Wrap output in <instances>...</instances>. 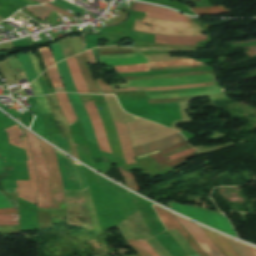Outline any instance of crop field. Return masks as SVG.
I'll return each mask as SVG.
<instances>
[{
	"mask_svg": "<svg viewBox=\"0 0 256 256\" xmlns=\"http://www.w3.org/2000/svg\"><path fill=\"white\" fill-rule=\"evenodd\" d=\"M140 23L149 24L151 26L141 25ZM133 29L151 34L178 36L202 35V32H204L195 23H175L147 17H145L143 21L136 19Z\"/></svg>",
	"mask_w": 256,
	"mask_h": 256,
	"instance_id": "8a807250",
	"label": "crop field"
},
{
	"mask_svg": "<svg viewBox=\"0 0 256 256\" xmlns=\"http://www.w3.org/2000/svg\"><path fill=\"white\" fill-rule=\"evenodd\" d=\"M27 137L34 164L38 175L37 205L38 208L50 209L49 204V178L41 147L37 137L23 128Z\"/></svg>",
	"mask_w": 256,
	"mask_h": 256,
	"instance_id": "ac0d7876",
	"label": "crop field"
},
{
	"mask_svg": "<svg viewBox=\"0 0 256 256\" xmlns=\"http://www.w3.org/2000/svg\"><path fill=\"white\" fill-rule=\"evenodd\" d=\"M50 177L51 209L64 208L63 187L56 154L53 147L40 140Z\"/></svg>",
	"mask_w": 256,
	"mask_h": 256,
	"instance_id": "34b2d1b8",
	"label": "crop field"
},
{
	"mask_svg": "<svg viewBox=\"0 0 256 256\" xmlns=\"http://www.w3.org/2000/svg\"><path fill=\"white\" fill-rule=\"evenodd\" d=\"M170 204L173 210L177 212H180L194 220H197L199 222L212 226L220 231H223L225 233H228L230 235L237 237L233 232L229 222L222 215L213 214L208 211H204V210H200V209H196L188 206L176 205L172 203Z\"/></svg>",
	"mask_w": 256,
	"mask_h": 256,
	"instance_id": "412701ff",
	"label": "crop field"
},
{
	"mask_svg": "<svg viewBox=\"0 0 256 256\" xmlns=\"http://www.w3.org/2000/svg\"><path fill=\"white\" fill-rule=\"evenodd\" d=\"M22 143L27 153L28 161H26V164H27L29 175H30V179L29 181H16L18 196L31 203H36V191H37L36 171L33 164L31 152L29 150L25 137Z\"/></svg>",
	"mask_w": 256,
	"mask_h": 256,
	"instance_id": "f4fd0767",
	"label": "crop field"
},
{
	"mask_svg": "<svg viewBox=\"0 0 256 256\" xmlns=\"http://www.w3.org/2000/svg\"><path fill=\"white\" fill-rule=\"evenodd\" d=\"M132 10L146 13V16L156 18V19H162V20H168V21H175V22H194L191 17L184 16L177 14L173 11L145 5V4H139L135 3L133 4Z\"/></svg>",
	"mask_w": 256,
	"mask_h": 256,
	"instance_id": "dd49c442",
	"label": "crop field"
},
{
	"mask_svg": "<svg viewBox=\"0 0 256 256\" xmlns=\"http://www.w3.org/2000/svg\"><path fill=\"white\" fill-rule=\"evenodd\" d=\"M57 151L56 154L63 180L64 190L82 189L72 160Z\"/></svg>",
	"mask_w": 256,
	"mask_h": 256,
	"instance_id": "e52e79f7",
	"label": "crop field"
},
{
	"mask_svg": "<svg viewBox=\"0 0 256 256\" xmlns=\"http://www.w3.org/2000/svg\"><path fill=\"white\" fill-rule=\"evenodd\" d=\"M83 105L85 106L89 119L93 125L94 134L96 136L99 148L103 151L110 152L103 124L93 102H84Z\"/></svg>",
	"mask_w": 256,
	"mask_h": 256,
	"instance_id": "d8731c3e",
	"label": "crop field"
},
{
	"mask_svg": "<svg viewBox=\"0 0 256 256\" xmlns=\"http://www.w3.org/2000/svg\"><path fill=\"white\" fill-rule=\"evenodd\" d=\"M175 217L182 223V225L195 238V240L201 245V247L208 253L209 256H223L220 253V251L213 245V243L207 238V236L200 230V228L198 226H196L192 223H189L177 216H175Z\"/></svg>",
	"mask_w": 256,
	"mask_h": 256,
	"instance_id": "5a996713",
	"label": "crop field"
},
{
	"mask_svg": "<svg viewBox=\"0 0 256 256\" xmlns=\"http://www.w3.org/2000/svg\"><path fill=\"white\" fill-rule=\"evenodd\" d=\"M68 94V93H67ZM69 100L77 114V118H81L82 124L84 127V131L86 134V138L94 143L97 144L96 139L93 134L92 126L89 122L87 112L83 105L81 104V101L77 94H68Z\"/></svg>",
	"mask_w": 256,
	"mask_h": 256,
	"instance_id": "3316defc",
	"label": "crop field"
},
{
	"mask_svg": "<svg viewBox=\"0 0 256 256\" xmlns=\"http://www.w3.org/2000/svg\"><path fill=\"white\" fill-rule=\"evenodd\" d=\"M157 214L159 215L160 219L164 223L167 230L172 229L176 227L180 233L187 239V241L194 247V249L199 252L202 256H206L202 250L196 245V243L189 237V235L182 229V227L179 225V223L172 217V215L156 206H153ZM199 253L194 254L192 256H201Z\"/></svg>",
	"mask_w": 256,
	"mask_h": 256,
	"instance_id": "28ad6ade",
	"label": "crop field"
},
{
	"mask_svg": "<svg viewBox=\"0 0 256 256\" xmlns=\"http://www.w3.org/2000/svg\"><path fill=\"white\" fill-rule=\"evenodd\" d=\"M181 141H185L184 137L177 134L175 136H172V137H169V138H166V139H163V140H160V141L148 144V145L134 147L133 148L134 155L136 157V156L143 155V154L153 152V151H156V150L162 151L165 148H167L171 145H174L178 142H181Z\"/></svg>",
	"mask_w": 256,
	"mask_h": 256,
	"instance_id": "d1516ede",
	"label": "crop field"
},
{
	"mask_svg": "<svg viewBox=\"0 0 256 256\" xmlns=\"http://www.w3.org/2000/svg\"><path fill=\"white\" fill-rule=\"evenodd\" d=\"M114 121V120H113ZM119 136L122 152L126 163H136L133 159V151L130 136L125 124L114 121Z\"/></svg>",
	"mask_w": 256,
	"mask_h": 256,
	"instance_id": "22f410ed",
	"label": "crop field"
},
{
	"mask_svg": "<svg viewBox=\"0 0 256 256\" xmlns=\"http://www.w3.org/2000/svg\"><path fill=\"white\" fill-rule=\"evenodd\" d=\"M76 60H77V63L80 67V70L82 72V75L85 79V82H86V85H87V88L89 90L90 93H96V94H101L96 83H95V80L89 70V66H88V60H87V57H86V54L85 52L76 56L75 57Z\"/></svg>",
	"mask_w": 256,
	"mask_h": 256,
	"instance_id": "cbeb9de0",
	"label": "crop field"
},
{
	"mask_svg": "<svg viewBox=\"0 0 256 256\" xmlns=\"http://www.w3.org/2000/svg\"><path fill=\"white\" fill-rule=\"evenodd\" d=\"M207 36H196V37H166L156 35L155 43H162L168 45H195L201 40H206Z\"/></svg>",
	"mask_w": 256,
	"mask_h": 256,
	"instance_id": "5142ce71",
	"label": "crop field"
},
{
	"mask_svg": "<svg viewBox=\"0 0 256 256\" xmlns=\"http://www.w3.org/2000/svg\"><path fill=\"white\" fill-rule=\"evenodd\" d=\"M202 229V228H201ZM209 239L216 245L224 256H239L224 237L202 229Z\"/></svg>",
	"mask_w": 256,
	"mask_h": 256,
	"instance_id": "d9b57169",
	"label": "crop field"
},
{
	"mask_svg": "<svg viewBox=\"0 0 256 256\" xmlns=\"http://www.w3.org/2000/svg\"><path fill=\"white\" fill-rule=\"evenodd\" d=\"M78 93H88L84 79L74 57L66 60Z\"/></svg>",
	"mask_w": 256,
	"mask_h": 256,
	"instance_id": "733c2abd",
	"label": "crop field"
},
{
	"mask_svg": "<svg viewBox=\"0 0 256 256\" xmlns=\"http://www.w3.org/2000/svg\"><path fill=\"white\" fill-rule=\"evenodd\" d=\"M187 144H188L187 141L181 142V143H179L177 145H174V146H171V147L167 148L165 151H163L160 154L152 155V156H149V157H151L158 164L167 165V166L171 167V166H173L175 164H178V163H180V162H182L184 160H187L189 158H192V157L196 156V154L193 153V154H190L188 156L176 159V160L171 161V162L167 161L168 159L166 160V158L164 156H160V155H162V154H164V153H166L168 151H171V150H173V149H175V148H177L179 146H183V145H187Z\"/></svg>",
	"mask_w": 256,
	"mask_h": 256,
	"instance_id": "4a817a6b",
	"label": "crop field"
},
{
	"mask_svg": "<svg viewBox=\"0 0 256 256\" xmlns=\"http://www.w3.org/2000/svg\"><path fill=\"white\" fill-rule=\"evenodd\" d=\"M59 106L65 115L68 125H72L77 121V118L75 116V113L70 105V102L66 96V94H56Z\"/></svg>",
	"mask_w": 256,
	"mask_h": 256,
	"instance_id": "bc2a9ffb",
	"label": "crop field"
},
{
	"mask_svg": "<svg viewBox=\"0 0 256 256\" xmlns=\"http://www.w3.org/2000/svg\"><path fill=\"white\" fill-rule=\"evenodd\" d=\"M56 66L59 70L60 77L63 81L64 88H65L66 92L77 93L76 88H75V86L73 84V81H72L70 71L67 67L66 61L64 60V61L56 64Z\"/></svg>",
	"mask_w": 256,
	"mask_h": 256,
	"instance_id": "214f88e0",
	"label": "crop field"
},
{
	"mask_svg": "<svg viewBox=\"0 0 256 256\" xmlns=\"http://www.w3.org/2000/svg\"><path fill=\"white\" fill-rule=\"evenodd\" d=\"M100 65H130L136 63H147L144 56L119 58V59H105L99 60Z\"/></svg>",
	"mask_w": 256,
	"mask_h": 256,
	"instance_id": "92a150f3",
	"label": "crop field"
},
{
	"mask_svg": "<svg viewBox=\"0 0 256 256\" xmlns=\"http://www.w3.org/2000/svg\"><path fill=\"white\" fill-rule=\"evenodd\" d=\"M17 58L20 61L21 65H22V68H23L29 82H31L36 77H38V75H37V73L34 69V66H33L29 56L27 55V53L17 55Z\"/></svg>",
	"mask_w": 256,
	"mask_h": 256,
	"instance_id": "dafd665d",
	"label": "crop field"
},
{
	"mask_svg": "<svg viewBox=\"0 0 256 256\" xmlns=\"http://www.w3.org/2000/svg\"><path fill=\"white\" fill-rule=\"evenodd\" d=\"M217 81L216 79L209 80H190L178 83H166V84H112L111 87H160V86H170V85H182V84H192L201 82H212Z\"/></svg>",
	"mask_w": 256,
	"mask_h": 256,
	"instance_id": "00972430",
	"label": "crop field"
},
{
	"mask_svg": "<svg viewBox=\"0 0 256 256\" xmlns=\"http://www.w3.org/2000/svg\"><path fill=\"white\" fill-rule=\"evenodd\" d=\"M215 78V74L204 75V76H188V77H177V78H167L159 80H145V81H127L128 83H165V82H178L190 79H208Z\"/></svg>",
	"mask_w": 256,
	"mask_h": 256,
	"instance_id": "a9b5d70f",
	"label": "crop field"
},
{
	"mask_svg": "<svg viewBox=\"0 0 256 256\" xmlns=\"http://www.w3.org/2000/svg\"><path fill=\"white\" fill-rule=\"evenodd\" d=\"M218 85L217 82L214 83H206V84H193V85H182V86H170V87H160V88H127L124 90L121 89H113L119 91H138V90H147V91H155V90H168V89H184V88H196V87H204Z\"/></svg>",
	"mask_w": 256,
	"mask_h": 256,
	"instance_id": "4177f3b9",
	"label": "crop field"
},
{
	"mask_svg": "<svg viewBox=\"0 0 256 256\" xmlns=\"http://www.w3.org/2000/svg\"><path fill=\"white\" fill-rule=\"evenodd\" d=\"M50 78H51V81L53 83V86H54V91L55 92H65L64 91V88H63V84H62V81L59 77V74H58V70L56 68V66H52L50 67L48 70H47Z\"/></svg>",
	"mask_w": 256,
	"mask_h": 256,
	"instance_id": "730fd06b",
	"label": "crop field"
},
{
	"mask_svg": "<svg viewBox=\"0 0 256 256\" xmlns=\"http://www.w3.org/2000/svg\"><path fill=\"white\" fill-rule=\"evenodd\" d=\"M226 238V237H225ZM227 241L233 246V248L239 253L240 256H256L254 252L256 253V249L252 248L250 249L249 246L240 244L238 242H235L231 239L226 238Z\"/></svg>",
	"mask_w": 256,
	"mask_h": 256,
	"instance_id": "eef30255",
	"label": "crop field"
},
{
	"mask_svg": "<svg viewBox=\"0 0 256 256\" xmlns=\"http://www.w3.org/2000/svg\"><path fill=\"white\" fill-rule=\"evenodd\" d=\"M193 12L197 13L198 16L201 15H210V14H219L230 12L223 6H214V7H206V8H198V9H191Z\"/></svg>",
	"mask_w": 256,
	"mask_h": 256,
	"instance_id": "ae1a2a85",
	"label": "crop field"
},
{
	"mask_svg": "<svg viewBox=\"0 0 256 256\" xmlns=\"http://www.w3.org/2000/svg\"><path fill=\"white\" fill-rule=\"evenodd\" d=\"M6 132L9 134L10 143L22 148L20 144V131L17 125L12 126L6 129Z\"/></svg>",
	"mask_w": 256,
	"mask_h": 256,
	"instance_id": "d3111659",
	"label": "crop field"
},
{
	"mask_svg": "<svg viewBox=\"0 0 256 256\" xmlns=\"http://www.w3.org/2000/svg\"><path fill=\"white\" fill-rule=\"evenodd\" d=\"M224 92L223 89H217L212 91H203V92H189L177 95H161V96H149L150 99H158V98H171V97H183V96H192V95H203V94H211V93H219Z\"/></svg>",
	"mask_w": 256,
	"mask_h": 256,
	"instance_id": "750c4746",
	"label": "crop field"
},
{
	"mask_svg": "<svg viewBox=\"0 0 256 256\" xmlns=\"http://www.w3.org/2000/svg\"><path fill=\"white\" fill-rule=\"evenodd\" d=\"M115 71L117 73L121 72H145L148 71V65L142 64V65H132V66H120V67H114Z\"/></svg>",
	"mask_w": 256,
	"mask_h": 256,
	"instance_id": "bd1437ed",
	"label": "crop field"
},
{
	"mask_svg": "<svg viewBox=\"0 0 256 256\" xmlns=\"http://www.w3.org/2000/svg\"><path fill=\"white\" fill-rule=\"evenodd\" d=\"M209 89H216L215 86L212 87H204V88H196V89H185V90H168V91H156V92H146L147 95H161V94H177L189 91H202V90H209Z\"/></svg>",
	"mask_w": 256,
	"mask_h": 256,
	"instance_id": "1d83c4d3",
	"label": "crop field"
},
{
	"mask_svg": "<svg viewBox=\"0 0 256 256\" xmlns=\"http://www.w3.org/2000/svg\"><path fill=\"white\" fill-rule=\"evenodd\" d=\"M118 170L121 173V175H122V177H123L127 187L132 188V189H134V190L139 192L138 185H137L135 179L133 178L132 174L123 171L121 169V167H118Z\"/></svg>",
	"mask_w": 256,
	"mask_h": 256,
	"instance_id": "120bbe31",
	"label": "crop field"
},
{
	"mask_svg": "<svg viewBox=\"0 0 256 256\" xmlns=\"http://www.w3.org/2000/svg\"><path fill=\"white\" fill-rule=\"evenodd\" d=\"M50 138H51L52 144L56 145L57 147H59L60 149L64 150L65 152L71 155L68 142L65 141L63 138H61L59 134L51 136Z\"/></svg>",
	"mask_w": 256,
	"mask_h": 256,
	"instance_id": "d32e631a",
	"label": "crop field"
},
{
	"mask_svg": "<svg viewBox=\"0 0 256 256\" xmlns=\"http://www.w3.org/2000/svg\"><path fill=\"white\" fill-rule=\"evenodd\" d=\"M188 64H198V63L194 62L192 60L170 61V62H164V63L149 64V68L164 67V66H176V65H188Z\"/></svg>",
	"mask_w": 256,
	"mask_h": 256,
	"instance_id": "5866460e",
	"label": "crop field"
},
{
	"mask_svg": "<svg viewBox=\"0 0 256 256\" xmlns=\"http://www.w3.org/2000/svg\"><path fill=\"white\" fill-rule=\"evenodd\" d=\"M38 51L40 52L41 56L43 57L47 68L50 67L51 65L55 64L48 47L39 48Z\"/></svg>",
	"mask_w": 256,
	"mask_h": 256,
	"instance_id": "028f5c9d",
	"label": "crop field"
},
{
	"mask_svg": "<svg viewBox=\"0 0 256 256\" xmlns=\"http://www.w3.org/2000/svg\"><path fill=\"white\" fill-rule=\"evenodd\" d=\"M30 12L34 13L36 16L40 17V18H45L49 15V13L51 12V10L43 7V6H38V7H29L27 8ZM41 19V20H42Z\"/></svg>",
	"mask_w": 256,
	"mask_h": 256,
	"instance_id": "e1f06a70",
	"label": "crop field"
},
{
	"mask_svg": "<svg viewBox=\"0 0 256 256\" xmlns=\"http://www.w3.org/2000/svg\"><path fill=\"white\" fill-rule=\"evenodd\" d=\"M49 48L54 55L55 62H58V61L64 59L58 42L49 45Z\"/></svg>",
	"mask_w": 256,
	"mask_h": 256,
	"instance_id": "0bd39190",
	"label": "crop field"
},
{
	"mask_svg": "<svg viewBox=\"0 0 256 256\" xmlns=\"http://www.w3.org/2000/svg\"><path fill=\"white\" fill-rule=\"evenodd\" d=\"M41 113L51 112L44 96L35 97Z\"/></svg>",
	"mask_w": 256,
	"mask_h": 256,
	"instance_id": "b80d0937",
	"label": "crop field"
},
{
	"mask_svg": "<svg viewBox=\"0 0 256 256\" xmlns=\"http://www.w3.org/2000/svg\"><path fill=\"white\" fill-rule=\"evenodd\" d=\"M53 2H55V3L65 7V8H67V9H69V10L75 12V13L82 12V10L79 9L77 6H75V5H73V4L69 3V2H66L64 0H54Z\"/></svg>",
	"mask_w": 256,
	"mask_h": 256,
	"instance_id": "c035e120",
	"label": "crop field"
},
{
	"mask_svg": "<svg viewBox=\"0 0 256 256\" xmlns=\"http://www.w3.org/2000/svg\"><path fill=\"white\" fill-rule=\"evenodd\" d=\"M140 256H149L136 240L128 241Z\"/></svg>",
	"mask_w": 256,
	"mask_h": 256,
	"instance_id": "c21b1889",
	"label": "crop field"
},
{
	"mask_svg": "<svg viewBox=\"0 0 256 256\" xmlns=\"http://www.w3.org/2000/svg\"><path fill=\"white\" fill-rule=\"evenodd\" d=\"M102 93L114 94L108 84H104L103 80L96 79Z\"/></svg>",
	"mask_w": 256,
	"mask_h": 256,
	"instance_id": "03da06ac",
	"label": "crop field"
},
{
	"mask_svg": "<svg viewBox=\"0 0 256 256\" xmlns=\"http://www.w3.org/2000/svg\"><path fill=\"white\" fill-rule=\"evenodd\" d=\"M11 207H18V204L14 202L12 199L0 200V208H11Z\"/></svg>",
	"mask_w": 256,
	"mask_h": 256,
	"instance_id": "b54c1fbb",
	"label": "crop field"
},
{
	"mask_svg": "<svg viewBox=\"0 0 256 256\" xmlns=\"http://www.w3.org/2000/svg\"><path fill=\"white\" fill-rule=\"evenodd\" d=\"M30 85H31L34 95L43 94V91H42L41 86L37 79L35 81H33L32 83H30Z\"/></svg>",
	"mask_w": 256,
	"mask_h": 256,
	"instance_id": "5d738f31",
	"label": "crop field"
},
{
	"mask_svg": "<svg viewBox=\"0 0 256 256\" xmlns=\"http://www.w3.org/2000/svg\"><path fill=\"white\" fill-rule=\"evenodd\" d=\"M74 163H75L77 172H78V174H79V177H80V180H81V183H82V187H83V188L88 187V186H87V183H86V181H85V179H84V176H83V174H82V171H81V168H80L79 164H77L76 162H74Z\"/></svg>",
	"mask_w": 256,
	"mask_h": 256,
	"instance_id": "d23c7cc5",
	"label": "crop field"
},
{
	"mask_svg": "<svg viewBox=\"0 0 256 256\" xmlns=\"http://www.w3.org/2000/svg\"><path fill=\"white\" fill-rule=\"evenodd\" d=\"M140 242V244L147 250V252L151 255V256H153L154 254L156 255V256H158L156 253H155V251L152 249V251L154 252V254L152 253V251L150 250L151 249V247H150V245L147 243V241L146 240H141V241H139Z\"/></svg>",
	"mask_w": 256,
	"mask_h": 256,
	"instance_id": "425ffa30",
	"label": "crop field"
},
{
	"mask_svg": "<svg viewBox=\"0 0 256 256\" xmlns=\"http://www.w3.org/2000/svg\"><path fill=\"white\" fill-rule=\"evenodd\" d=\"M42 76H43V78H44V80H45V82H46V84L49 88L50 93L53 94L54 93L53 87H52V84H51V81L49 79V76H48L47 72L43 73Z\"/></svg>",
	"mask_w": 256,
	"mask_h": 256,
	"instance_id": "25e5ab78",
	"label": "crop field"
},
{
	"mask_svg": "<svg viewBox=\"0 0 256 256\" xmlns=\"http://www.w3.org/2000/svg\"><path fill=\"white\" fill-rule=\"evenodd\" d=\"M137 55H140V54L135 53V54H127V55L99 56V59H105V58H119V57H129V56H137Z\"/></svg>",
	"mask_w": 256,
	"mask_h": 256,
	"instance_id": "73cf0c24",
	"label": "crop field"
},
{
	"mask_svg": "<svg viewBox=\"0 0 256 256\" xmlns=\"http://www.w3.org/2000/svg\"><path fill=\"white\" fill-rule=\"evenodd\" d=\"M0 220H18V214L0 215Z\"/></svg>",
	"mask_w": 256,
	"mask_h": 256,
	"instance_id": "89e229c0",
	"label": "crop field"
},
{
	"mask_svg": "<svg viewBox=\"0 0 256 256\" xmlns=\"http://www.w3.org/2000/svg\"><path fill=\"white\" fill-rule=\"evenodd\" d=\"M28 55L30 56V58H31V60H32L34 66H35V69H36V71L38 73V75H41V72H40V69H39V65H38V63H37L33 53L32 52H28Z\"/></svg>",
	"mask_w": 256,
	"mask_h": 256,
	"instance_id": "1f2cbd36",
	"label": "crop field"
},
{
	"mask_svg": "<svg viewBox=\"0 0 256 256\" xmlns=\"http://www.w3.org/2000/svg\"><path fill=\"white\" fill-rule=\"evenodd\" d=\"M54 120H55V119H54ZM55 123H56V126H57V128H58L59 134H60L63 138H65V139L67 140V137H66V135H65V132H64V130H63V128H62L60 122L57 121V120H55ZM67 141H68V140H67Z\"/></svg>",
	"mask_w": 256,
	"mask_h": 256,
	"instance_id": "dbb93151",
	"label": "crop field"
},
{
	"mask_svg": "<svg viewBox=\"0 0 256 256\" xmlns=\"http://www.w3.org/2000/svg\"><path fill=\"white\" fill-rule=\"evenodd\" d=\"M193 151H195V150H194L193 148H191V149L185 150V151H183V152H181V153H178V154H176V155L170 156V157H168V158H169L170 160H172V159H174V158L180 157V156H182V155H185V154L190 153V152H193Z\"/></svg>",
	"mask_w": 256,
	"mask_h": 256,
	"instance_id": "0fb4a251",
	"label": "crop field"
},
{
	"mask_svg": "<svg viewBox=\"0 0 256 256\" xmlns=\"http://www.w3.org/2000/svg\"><path fill=\"white\" fill-rule=\"evenodd\" d=\"M11 213H18L17 208H12V209H0V214H11Z\"/></svg>",
	"mask_w": 256,
	"mask_h": 256,
	"instance_id": "1d79db26",
	"label": "crop field"
},
{
	"mask_svg": "<svg viewBox=\"0 0 256 256\" xmlns=\"http://www.w3.org/2000/svg\"><path fill=\"white\" fill-rule=\"evenodd\" d=\"M44 5L47 6V7H49V8H52V9H54V10L59 11V12H61L62 14L68 16V17L74 16V15H72V14H70V13H67V12H65V11H63V10H61V9H58V8H56V7H54V6L50 5V4H48V3H46V4H44Z\"/></svg>",
	"mask_w": 256,
	"mask_h": 256,
	"instance_id": "9d1cf04e",
	"label": "crop field"
},
{
	"mask_svg": "<svg viewBox=\"0 0 256 256\" xmlns=\"http://www.w3.org/2000/svg\"><path fill=\"white\" fill-rule=\"evenodd\" d=\"M34 55L36 56V58H37V60H38V62H39V64H40V66H41L42 72L45 71L46 68H45L44 63H43V61H42V59H41L40 54L37 52V53H35Z\"/></svg>",
	"mask_w": 256,
	"mask_h": 256,
	"instance_id": "447ae74e",
	"label": "crop field"
},
{
	"mask_svg": "<svg viewBox=\"0 0 256 256\" xmlns=\"http://www.w3.org/2000/svg\"><path fill=\"white\" fill-rule=\"evenodd\" d=\"M86 53H87V56H88L89 63L96 64V63H95V59H94V55H93L92 51L89 50V51H87Z\"/></svg>",
	"mask_w": 256,
	"mask_h": 256,
	"instance_id": "0765c3eb",
	"label": "crop field"
},
{
	"mask_svg": "<svg viewBox=\"0 0 256 256\" xmlns=\"http://www.w3.org/2000/svg\"><path fill=\"white\" fill-rule=\"evenodd\" d=\"M0 225H18V221H0Z\"/></svg>",
	"mask_w": 256,
	"mask_h": 256,
	"instance_id": "db79e9e6",
	"label": "crop field"
},
{
	"mask_svg": "<svg viewBox=\"0 0 256 256\" xmlns=\"http://www.w3.org/2000/svg\"><path fill=\"white\" fill-rule=\"evenodd\" d=\"M20 1H22L23 3H25V4L29 5V6H33V5H37L38 4V3H35L33 1H31V0H20Z\"/></svg>",
	"mask_w": 256,
	"mask_h": 256,
	"instance_id": "7b73153f",
	"label": "crop field"
},
{
	"mask_svg": "<svg viewBox=\"0 0 256 256\" xmlns=\"http://www.w3.org/2000/svg\"><path fill=\"white\" fill-rule=\"evenodd\" d=\"M11 1L17 3L18 5H20V6H22V7L27 6V5L23 4L22 2H20V1H18V0H11Z\"/></svg>",
	"mask_w": 256,
	"mask_h": 256,
	"instance_id": "78b8030e",
	"label": "crop field"
},
{
	"mask_svg": "<svg viewBox=\"0 0 256 256\" xmlns=\"http://www.w3.org/2000/svg\"><path fill=\"white\" fill-rule=\"evenodd\" d=\"M6 191L9 192V193H15V192H17L16 188L7 189Z\"/></svg>",
	"mask_w": 256,
	"mask_h": 256,
	"instance_id": "0f1d7ab4",
	"label": "crop field"
},
{
	"mask_svg": "<svg viewBox=\"0 0 256 256\" xmlns=\"http://www.w3.org/2000/svg\"><path fill=\"white\" fill-rule=\"evenodd\" d=\"M34 1H36V2H38L40 4H43V3L47 2V1H44V0H34Z\"/></svg>",
	"mask_w": 256,
	"mask_h": 256,
	"instance_id": "e1d0b9f6",
	"label": "crop field"
},
{
	"mask_svg": "<svg viewBox=\"0 0 256 256\" xmlns=\"http://www.w3.org/2000/svg\"><path fill=\"white\" fill-rule=\"evenodd\" d=\"M4 198H6L5 195H0V199H4Z\"/></svg>",
	"mask_w": 256,
	"mask_h": 256,
	"instance_id": "ae633e8c",
	"label": "crop field"
},
{
	"mask_svg": "<svg viewBox=\"0 0 256 256\" xmlns=\"http://www.w3.org/2000/svg\"><path fill=\"white\" fill-rule=\"evenodd\" d=\"M0 170H2V164H1V160H0Z\"/></svg>",
	"mask_w": 256,
	"mask_h": 256,
	"instance_id": "d14b1444",
	"label": "crop field"
},
{
	"mask_svg": "<svg viewBox=\"0 0 256 256\" xmlns=\"http://www.w3.org/2000/svg\"><path fill=\"white\" fill-rule=\"evenodd\" d=\"M83 1H85V2H86L87 0H83Z\"/></svg>",
	"mask_w": 256,
	"mask_h": 256,
	"instance_id": "c39391a2",
	"label": "crop field"
},
{
	"mask_svg": "<svg viewBox=\"0 0 256 256\" xmlns=\"http://www.w3.org/2000/svg\"><path fill=\"white\" fill-rule=\"evenodd\" d=\"M47 1H50V0H47Z\"/></svg>",
	"mask_w": 256,
	"mask_h": 256,
	"instance_id": "ade564c9",
	"label": "crop field"
},
{
	"mask_svg": "<svg viewBox=\"0 0 256 256\" xmlns=\"http://www.w3.org/2000/svg\"><path fill=\"white\" fill-rule=\"evenodd\" d=\"M1 194V193H0Z\"/></svg>",
	"mask_w": 256,
	"mask_h": 256,
	"instance_id": "c5b07064",
	"label": "crop field"
}]
</instances>
